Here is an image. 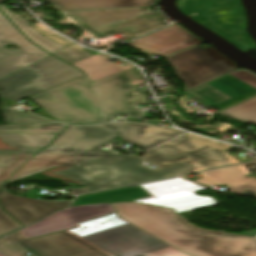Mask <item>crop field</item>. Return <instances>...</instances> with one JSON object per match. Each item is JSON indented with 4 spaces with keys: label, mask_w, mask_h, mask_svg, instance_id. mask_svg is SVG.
Masks as SVG:
<instances>
[{
    "label": "crop field",
    "mask_w": 256,
    "mask_h": 256,
    "mask_svg": "<svg viewBox=\"0 0 256 256\" xmlns=\"http://www.w3.org/2000/svg\"><path fill=\"white\" fill-rule=\"evenodd\" d=\"M0 256H5V255H3L2 253H0Z\"/></svg>",
    "instance_id": "crop-field-33"
},
{
    "label": "crop field",
    "mask_w": 256,
    "mask_h": 256,
    "mask_svg": "<svg viewBox=\"0 0 256 256\" xmlns=\"http://www.w3.org/2000/svg\"><path fill=\"white\" fill-rule=\"evenodd\" d=\"M196 182L200 183V184H204V183H209V181L207 180V178H202V179H198L195 180Z\"/></svg>",
    "instance_id": "crop-field-29"
},
{
    "label": "crop field",
    "mask_w": 256,
    "mask_h": 256,
    "mask_svg": "<svg viewBox=\"0 0 256 256\" xmlns=\"http://www.w3.org/2000/svg\"><path fill=\"white\" fill-rule=\"evenodd\" d=\"M166 59L186 84L185 92L237 69L234 62L213 47L197 46Z\"/></svg>",
    "instance_id": "crop-field-8"
},
{
    "label": "crop field",
    "mask_w": 256,
    "mask_h": 256,
    "mask_svg": "<svg viewBox=\"0 0 256 256\" xmlns=\"http://www.w3.org/2000/svg\"><path fill=\"white\" fill-rule=\"evenodd\" d=\"M0 252L6 256H28L26 250L7 237L0 239Z\"/></svg>",
    "instance_id": "crop-field-23"
},
{
    "label": "crop field",
    "mask_w": 256,
    "mask_h": 256,
    "mask_svg": "<svg viewBox=\"0 0 256 256\" xmlns=\"http://www.w3.org/2000/svg\"><path fill=\"white\" fill-rule=\"evenodd\" d=\"M109 58L111 57L103 54H97L72 65L84 71L92 82L134 67L127 62H124L128 64L125 67L119 64L110 63L106 61Z\"/></svg>",
    "instance_id": "crop-field-16"
},
{
    "label": "crop field",
    "mask_w": 256,
    "mask_h": 256,
    "mask_svg": "<svg viewBox=\"0 0 256 256\" xmlns=\"http://www.w3.org/2000/svg\"><path fill=\"white\" fill-rule=\"evenodd\" d=\"M256 237V236H255Z\"/></svg>",
    "instance_id": "crop-field-35"
},
{
    "label": "crop field",
    "mask_w": 256,
    "mask_h": 256,
    "mask_svg": "<svg viewBox=\"0 0 256 256\" xmlns=\"http://www.w3.org/2000/svg\"><path fill=\"white\" fill-rule=\"evenodd\" d=\"M250 178H251V181H252V183L254 185V188L256 190V178H253V177H250Z\"/></svg>",
    "instance_id": "crop-field-30"
},
{
    "label": "crop field",
    "mask_w": 256,
    "mask_h": 256,
    "mask_svg": "<svg viewBox=\"0 0 256 256\" xmlns=\"http://www.w3.org/2000/svg\"><path fill=\"white\" fill-rule=\"evenodd\" d=\"M65 127L67 126L55 122L36 124H14L0 126V132L58 134Z\"/></svg>",
    "instance_id": "crop-field-18"
},
{
    "label": "crop field",
    "mask_w": 256,
    "mask_h": 256,
    "mask_svg": "<svg viewBox=\"0 0 256 256\" xmlns=\"http://www.w3.org/2000/svg\"><path fill=\"white\" fill-rule=\"evenodd\" d=\"M62 11L155 6L156 0H47Z\"/></svg>",
    "instance_id": "crop-field-15"
},
{
    "label": "crop field",
    "mask_w": 256,
    "mask_h": 256,
    "mask_svg": "<svg viewBox=\"0 0 256 256\" xmlns=\"http://www.w3.org/2000/svg\"><path fill=\"white\" fill-rule=\"evenodd\" d=\"M116 212L112 204L84 205L55 213L42 221L21 230L28 238L70 229L78 222Z\"/></svg>",
    "instance_id": "crop-field-11"
},
{
    "label": "crop field",
    "mask_w": 256,
    "mask_h": 256,
    "mask_svg": "<svg viewBox=\"0 0 256 256\" xmlns=\"http://www.w3.org/2000/svg\"><path fill=\"white\" fill-rule=\"evenodd\" d=\"M255 196H256V194H255Z\"/></svg>",
    "instance_id": "crop-field-34"
},
{
    "label": "crop field",
    "mask_w": 256,
    "mask_h": 256,
    "mask_svg": "<svg viewBox=\"0 0 256 256\" xmlns=\"http://www.w3.org/2000/svg\"><path fill=\"white\" fill-rule=\"evenodd\" d=\"M16 44L18 49H5ZM0 79L49 56L31 44L0 12Z\"/></svg>",
    "instance_id": "crop-field-9"
},
{
    "label": "crop field",
    "mask_w": 256,
    "mask_h": 256,
    "mask_svg": "<svg viewBox=\"0 0 256 256\" xmlns=\"http://www.w3.org/2000/svg\"><path fill=\"white\" fill-rule=\"evenodd\" d=\"M10 183L12 182H7L6 184ZM6 184L0 191V201L4 209L24 226L56 209L66 207L71 201H42L14 196L6 192Z\"/></svg>",
    "instance_id": "crop-field-13"
},
{
    "label": "crop field",
    "mask_w": 256,
    "mask_h": 256,
    "mask_svg": "<svg viewBox=\"0 0 256 256\" xmlns=\"http://www.w3.org/2000/svg\"><path fill=\"white\" fill-rule=\"evenodd\" d=\"M56 135L0 133V138L10 146H18L21 152L0 151V181L9 178L18 167L49 145Z\"/></svg>",
    "instance_id": "crop-field-12"
},
{
    "label": "crop field",
    "mask_w": 256,
    "mask_h": 256,
    "mask_svg": "<svg viewBox=\"0 0 256 256\" xmlns=\"http://www.w3.org/2000/svg\"><path fill=\"white\" fill-rule=\"evenodd\" d=\"M121 219L116 213L36 239L7 237L34 256H187Z\"/></svg>",
    "instance_id": "crop-field-2"
},
{
    "label": "crop field",
    "mask_w": 256,
    "mask_h": 256,
    "mask_svg": "<svg viewBox=\"0 0 256 256\" xmlns=\"http://www.w3.org/2000/svg\"><path fill=\"white\" fill-rule=\"evenodd\" d=\"M220 114L256 125V97L222 111Z\"/></svg>",
    "instance_id": "crop-field-19"
},
{
    "label": "crop field",
    "mask_w": 256,
    "mask_h": 256,
    "mask_svg": "<svg viewBox=\"0 0 256 256\" xmlns=\"http://www.w3.org/2000/svg\"><path fill=\"white\" fill-rule=\"evenodd\" d=\"M4 182H0V187ZM22 227L18 222L6 214L0 207V236Z\"/></svg>",
    "instance_id": "crop-field-24"
},
{
    "label": "crop field",
    "mask_w": 256,
    "mask_h": 256,
    "mask_svg": "<svg viewBox=\"0 0 256 256\" xmlns=\"http://www.w3.org/2000/svg\"><path fill=\"white\" fill-rule=\"evenodd\" d=\"M253 87L256 88V75L237 71L192 92L218 104Z\"/></svg>",
    "instance_id": "crop-field-14"
},
{
    "label": "crop field",
    "mask_w": 256,
    "mask_h": 256,
    "mask_svg": "<svg viewBox=\"0 0 256 256\" xmlns=\"http://www.w3.org/2000/svg\"><path fill=\"white\" fill-rule=\"evenodd\" d=\"M1 109L6 123H35L48 121L31 113H24L22 111L12 109Z\"/></svg>",
    "instance_id": "crop-field-21"
},
{
    "label": "crop field",
    "mask_w": 256,
    "mask_h": 256,
    "mask_svg": "<svg viewBox=\"0 0 256 256\" xmlns=\"http://www.w3.org/2000/svg\"><path fill=\"white\" fill-rule=\"evenodd\" d=\"M241 194L250 191L255 192L249 176L237 177Z\"/></svg>",
    "instance_id": "crop-field-27"
},
{
    "label": "crop field",
    "mask_w": 256,
    "mask_h": 256,
    "mask_svg": "<svg viewBox=\"0 0 256 256\" xmlns=\"http://www.w3.org/2000/svg\"><path fill=\"white\" fill-rule=\"evenodd\" d=\"M200 43L203 42L196 36L174 24L126 44L145 53L164 57Z\"/></svg>",
    "instance_id": "crop-field-10"
},
{
    "label": "crop field",
    "mask_w": 256,
    "mask_h": 256,
    "mask_svg": "<svg viewBox=\"0 0 256 256\" xmlns=\"http://www.w3.org/2000/svg\"><path fill=\"white\" fill-rule=\"evenodd\" d=\"M113 206L120 218L189 256H256V238L203 229L169 209L135 202Z\"/></svg>",
    "instance_id": "crop-field-4"
},
{
    "label": "crop field",
    "mask_w": 256,
    "mask_h": 256,
    "mask_svg": "<svg viewBox=\"0 0 256 256\" xmlns=\"http://www.w3.org/2000/svg\"><path fill=\"white\" fill-rule=\"evenodd\" d=\"M53 55L69 64H72L74 62H77L79 60L92 56V54L87 53L77 44L69 46L68 48L60 52H57Z\"/></svg>",
    "instance_id": "crop-field-22"
},
{
    "label": "crop field",
    "mask_w": 256,
    "mask_h": 256,
    "mask_svg": "<svg viewBox=\"0 0 256 256\" xmlns=\"http://www.w3.org/2000/svg\"><path fill=\"white\" fill-rule=\"evenodd\" d=\"M181 133L183 131L126 122L69 126L8 181L57 166H70L69 170L56 174L77 180L81 185H88L85 188L96 191L240 162L222 151L232 146L190 133L144 154L147 161L159 165L154 170L142 166L139 157L100 150L118 136L122 141L146 150ZM66 171L69 173L64 174Z\"/></svg>",
    "instance_id": "crop-field-1"
},
{
    "label": "crop field",
    "mask_w": 256,
    "mask_h": 256,
    "mask_svg": "<svg viewBox=\"0 0 256 256\" xmlns=\"http://www.w3.org/2000/svg\"><path fill=\"white\" fill-rule=\"evenodd\" d=\"M250 173L247 170L246 166L244 164H241L236 166L209 170V171L201 172L200 174L203 177L206 176L210 182H213V181H218V180H222V179H226L234 176L246 175Z\"/></svg>",
    "instance_id": "crop-field-20"
},
{
    "label": "crop field",
    "mask_w": 256,
    "mask_h": 256,
    "mask_svg": "<svg viewBox=\"0 0 256 256\" xmlns=\"http://www.w3.org/2000/svg\"><path fill=\"white\" fill-rule=\"evenodd\" d=\"M97 90V89H96ZM97 92H98V90H97ZM98 94H99V92H98ZM99 96H100V94H99ZM101 97V96H100ZM101 99H102V97H101ZM102 101H103V111H104V100L102 99ZM105 116V115H104ZM105 121V120H104Z\"/></svg>",
    "instance_id": "crop-field-31"
},
{
    "label": "crop field",
    "mask_w": 256,
    "mask_h": 256,
    "mask_svg": "<svg viewBox=\"0 0 256 256\" xmlns=\"http://www.w3.org/2000/svg\"><path fill=\"white\" fill-rule=\"evenodd\" d=\"M72 190V194L76 195V194H80V193H84V192H89V190L85 189V188H79V189H72V188H67Z\"/></svg>",
    "instance_id": "crop-field-28"
},
{
    "label": "crop field",
    "mask_w": 256,
    "mask_h": 256,
    "mask_svg": "<svg viewBox=\"0 0 256 256\" xmlns=\"http://www.w3.org/2000/svg\"><path fill=\"white\" fill-rule=\"evenodd\" d=\"M33 28H35L38 32L42 33L43 35H45L46 37L56 41V42H59L63 45H66V46H69L71 44H74L73 42L51 32L50 30H48L45 26H43L42 24L40 23H37V24H33L32 25Z\"/></svg>",
    "instance_id": "crop-field-25"
},
{
    "label": "crop field",
    "mask_w": 256,
    "mask_h": 256,
    "mask_svg": "<svg viewBox=\"0 0 256 256\" xmlns=\"http://www.w3.org/2000/svg\"><path fill=\"white\" fill-rule=\"evenodd\" d=\"M204 185H229L231 193L240 194L236 177Z\"/></svg>",
    "instance_id": "crop-field-26"
},
{
    "label": "crop field",
    "mask_w": 256,
    "mask_h": 256,
    "mask_svg": "<svg viewBox=\"0 0 256 256\" xmlns=\"http://www.w3.org/2000/svg\"><path fill=\"white\" fill-rule=\"evenodd\" d=\"M4 1H6V0H0V3H1V2H4Z\"/></svg>",
    "instance_id": "crop-field-32"
},
{
    "label": "crop field",
    "mask_w": 256,
    "mask_h": 256,
    "mask_svg": "<svg viewBox=\"0 0 256 256\" xmlns=\"http://www.w3.org/2000/svg\"><path fill=\"white\" fill-rule=\"evenodd\" d=\"M0 10L9 18V20L18 28L20 29L33 43L40 46L44 50L48 51L49 53L53 54L59 50L66 48L60 44H57L37 32H35L29 22L25 21L24 19L20 18L19 16L12 14L10 10L6 7L5 4L0 5Z\"/></svg>",
    "instance_id": "crop-field-17"
},
{
    "label": "crop field",
    "mask_w": 256,
    "mask_h": 256,
    "mask_svg": "<svg viewBox=\"0 0 256 256\" xmlns=\"http://www.w3.org/2000/svg\"><path fill=\"white\" fill-rule=\"evenodd\" d=\"M205 188L181 177L134 185L105 192L81 195L70 207L83 204H101L135 201L154 206L170 208L189 220L193 209L217 204L207 196H198L194 192Z\"/></svg>",
    "instance_id": "crop-field-5"
},
{
    "label": "crop field",
    "mask_w": 256,
    "mask_h": 256,
    "mask_svg": "<svg viewBox=\"0 0 256 256\" xmlns=\"http://www.w3.org/2000/svg\"><path fill=\"white\" fill-rule=\"evenodd\" d=\"M82 76L80 70L49 56L1 79L0 87L8 88L0 96L18 101Z\"/></svg>",
    "instance_id": "crop-field-7"
},
{
    "label": "crop field",
    "mask_w": 256,
    "mask_h": 256,
    "mask_svg": "<svg viewBox=\"0 0 256 256\" xmlns=\"http://www.w3.org/2000/svg\"><path fill=\"white\" fill-rule=\"evenodd\" d=\"M80 26L100 39L123 33L130 40L165 27L167 19L160 11L150 12L147 7L67 11Z\"/></svg>",
    "instance_id": "crop-field-6"
},
{
    "label": "crop field",
    "mask_w": 256,
    "mask_h": 256,
    "mask_svg": "<svg viewBox=\"0 0 256 256\" xmlns=\"http://www.w3.org/2000/svg\"><path fill=\"white\" fill-rule=\"evenodd\" d=\"M142 79L137 67L92 83L86 76L70 83L32 96L31 99L57 121L68 124L95 123L104 119L102 101L105 100L106 121L114 116L143 117L136 104L148 103L147 96L129 97L131 81Z\"/></svg>",
    "instance_id": "crop-field-3"
}]
</instances>
